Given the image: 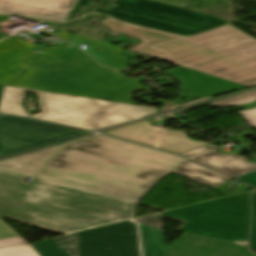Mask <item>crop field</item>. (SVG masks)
I'll list each match as a JSON object with an SVG mask.
<instances>
[{"label": "crop field", "instance_id": "a9b5d70f", "mask_svg": "<svg viewBox=\"0 0 256 256\" xmlns=\"http://www.w3.org/2000/svg\"><path fill=\"white\" fill-rule=\"evenodd\" d=\"M90 1L100 2L102 7L109 6V0H76L64 21L72 19V16L76 11L89 8L86 3Z\"/></svg>", "mask_w": 256, "mask_h": 256}, {"label": "crop field", "instance_id": "d8731c3e", "mask_svg": "<svg viewBox=\"0 0 256 256\" xmlns=\"http://www.w3.org/2000/svg\"><path fill=\"white\" fill-rule=\"evenodd\" d=\"M158 109L88 99L39 114L33 118L99 130L157 112Z\"/></svg>", "mask_w": 256, "mask_h": 256}, {"label": "crop field", "instance_id": "5a996713", "mask_svg": "<svg viewBox=\"0 0 256 256\" xmlns=\"http://www.w3.org/2000/svg\"><path fill=\"white\" fill-rule=\"evenodd\" d=\"M86 133L89 132L0 115V157Z\"/></svg>", "mask_w": 256, "mask_h": 256}, {"label": "crop field", "instance_id": "00972430", "mask_svg": "<svg viewBox=\"0 0 256 256\" xmlns=\"http://www.w3.org/2000/svg\"><path fill=\"white\" fill-rule=\"evenodd\" d=\"M256 99V91L248 94L232 97L218 102L210 103L213 106L242 105Z\"/></svg>", "mask_w": 256, "mask_h": 256}, {"label": "crop field", "instance_id": "d9b57169", "mask_svg": "<svg viewBox=\"0 0 256 256\" xmlns=\"http://www.w3.org/2000/svg\"><path fill=\"white\" fill-rule=\"evenodd\" d=\"M191 159L231 177L256 169V164L247 161L244 157L233 154L223 155L217 151L193 157Z\"/></svg>", "mask_w": 256, "mask_h": 256}, {"label": "crop field", "instance_id": "dd49c442", "mask_svg": "<svg viewBox=\"0 0 256 256\" xmlns=\"http://www.w3.org/2000/svg\"><path fill=\"white\" fill-rule=\"evenodd\" d=\"M249 195L243 193L162 213L187 221L177 231L237 242L246 241L249 227Z\"/></svg>", "mask_w": 256, "mask_h": 256}, {"label": "crop field", "instance_id": "eef30255", "mask_svg": "<svg viewBox=\"0 0 256 256\" xmlns=\"http://www.w3.org/2000/svg\"><path fill=\"white\" fill-rule=\"evenodd\" d=\"M70 236H73V233L72 234H68V235H65V236H62V237H58V238H54L53 240L61 247V246H64L63 251H67V250H73V252H69V253H66L68 256L72 255L74 256V247H70L71 245H74V242H73V238L70 239V240H67V241H64L62 243H58V241L62 240V239H65V238H68Z\"/></svg>", "mask_w": 256, "mask_h": 256}, {"label": "crop field", "instance_id": "d3111659", "mask_svg": "<svg viewBox=\"0 0 256 256\" xmlns=\"http://www.w3.org/2000/svg\"><path fill=\"white\" fill-rule=\"evenodd\" d=\"M210 150H213V149L210 146L206 145V146L197 148L195 150H192V151L180 154V155L190 157V156L197 155V154H200V153H203V152H206V151H210Z\"/></svg>", "mask_w": 256, "mask_h": 256}, {"label": "crop field", "instance_id": "28ad6ade", "mask_svg": "<svg viewBox=\"0 0 256 256\" xmlns=\"http://www.w3.org/2000/svg\"><path fill=\"white\" fill-rule=\"evenodd\" d=\"M167 256H254L236 244L183 233L166 247Z\"/></svg>", "mask_w": 256, "mask_h": 256}, {"label": "crop field", "instance_id": "214f88e0", "mask_svg": "<svg viewBox=\"0 0 256 256\" xmlns=\"http://www.w3.org/2000/svg\"><path fill=\"white\" fill-rule=\"evenodd\" d=\"M89 20L86 21H69L65 23H61L54 27L61 28L70 32H74L86 37H90L99 41H103L104 37L107 35L108 30L106 27L98 26L93 27L90 23L100 20L101 18L97 16H90Z\"/></svg>", "mask_w": 256, "mask_h": 256}, {"label": "crop field", "instance_id": "120bbe31", "mask_svg": "<svg viewBox=\"0 0 256 256\" xmlns=\"http://www.w3.org/2000/svg\"><path fill=\"white\" fill-rule=\"evenodd\" d=\"M180 1H184V2H186V0H180Z\"/></svg>", "mask_w": 256, "mask_h": 256}, {"label": "crop field", "instance_id": "1d83c4d3", "mask_svg": "<svg viewBox=\"0 0 256 256\" xmlns=\"http://www.w3.org/2000/svg\"><path fill=\"white\" fill-rule=\"evenodd\" d=\"M2 88H3V86L0 85V95H1Z\"/></svg>", "mask_w": 256, "mask_h": 256}, {"label": "crop field", "instance_id": "4a817a6b", "mask_svg": "<svg viewBox=\"0 0 256 256\" xmlns=\"http://www.w3.org/2000/svg\"><path fill=\"white\" fill-rule=\"evenodd\" d=\"M73 44H86L87 52L91 57L101 64L109 67L119 69L129 60H127L120 53L122 48L105 45L99 41L86 38L77 34L72 35L71 41Z\"/></svg>", "mask_w": 256, "mask_h": 256}, {"label": "crop field", "instance_id": "750c4746", "mask_svg": "<svg viewBox=\"0 0 256 256\" xmlns=\"http://www.w3.org/2000/svg\"><path fill=\"white\" fill-rule=\"evenodd\" d=\"M238 179L256 187V172L240 176Z\"/></svg>", "mask_w": 256, "mask_h": 256}, {"label": "crop field", "instance_id": "ae1a2a85", "mask_svg": "<svg viewBox=\"0 0 256 256\" xmlns=\"http://www.w3.org/2000/svg\"><path fill=\"white\" fill-rule=\"evenodd\" d=\"M253 127L256 128V108L239 112Z\"/></svg>", "mask_w": 256, "mask_h": 256}, {"label": "crop field", "instance_id": "bd1437ed", "mask_svg": "<svg viewBox=\"0 0 256 256\" xmlns=\"http://www.w3.org/2000/svg\"><path fill=\"white\" fill-rule=\"evenodd\" d=\"M9 16H0V21L7 19ZM7 36L4 32L0 30V39Z\"/></svg>", "mask_w": 256, "mask_h": 256}, {"label": "crop field", "instance_id": "dafd665d", "mask_svg": "<svg viewBox=\"0 0 256 256\" xmlns=\"http://www.w3.org/2000/svg\"><path fill=\"white\" fill-rule=\"evenodd\" d=\"M0 256H38L29 244L0 248Z\"/></svg>", "mask_w": 256, "mask_h": 256}, {"label": "crop field", "instance_id": "3316defc", "mask_svg": "<svg viewBox=\"0 0 256 256\" xmlns=\"http://www.w3.org/2000/svg\"><path fill=\"white\" fill-rule=\"evenodd\" d=\"M105 134L177 154L206 145L190 140L184 132L154 127L147 120L107 131Z\"/></svg>", "mask_w": 256, "mask_h": 256}, {"label": "crop field", "instance_id": "5142ce71", "mask_svg": "<svg viewBox=\"0 0 256 256\" xmlns=\"http://www.w3.org/2000/svg\"><path fill=\"white\" fill-rule=\"evenodd\" d=\"M100 24L106 25L111 29V36H117L118 33L123 32L128 33L132 37L142 39V44L136 45L130 49L131 51L138 53L184 38L151 29L127 25L110 18H107Z\"/></svg>", "mask_w": 256, "mask_h": 256}, {"label": "crop field", "instance_id": "92a150f3", "mask_svg": "<svg viewBox=\"0 0 256 256\" xmlns=\"http://www.w3.org/2000/svg\"><path fill=\"white\" fill-rule=\"evenodd\" d=\"M27 243L0 219V247Z\"/></svg>", "mask_w": 256, "mask_h": 256}, {"label": "crop field", "instance_id": "22f410ed", "mask_svg": "<svg viewBox=\"0 0 256 256\" xmlns=\"http://www.w3.org/2000/svg\"><path fill=\"white\" fill-rule=\"evenodd\" d=\"M25 91L36 93L41 112L88 99L71 95L54 94L4 86L0 99V113L28 117L29 113L22 107Z\"/></svg>", "mask_w": 256, "mask_h": 256}, {"label": "crop field", "instance_id": "4177f3b9", "mask_svg": "<svg viewBox=\"0 0 256 256\" xmlns=\"http://www.w3.org/2000/svg\"><path fill=\"white\" fill-rule=\"evenodd\" d=\"M253 202V221L251 228L250 247L256 250V193L252 196Z\"/></svg>", "mask_w": 256, "mask_h": 256}, {"label": "crop field", "instance_id": "e52e79f7", "mask_svg": "<svg viewBox=\"0 0 256 256\" xmlns=\"http://www.w3.org/2000/svg\"><path fill=\"white\" fill-rule=\"evenodd\" d=\"M92 12H100L127 23L182 36H191L228 23V20L216 16L149 0H113L111 10L102 11L94 4Z\"/></svg>", "mask_w": 256, "mask_h": 256}, {"label": "crop field", "instance_id": "f4fd0767", "mask_svg": "<svg viewBox=\"0 0 256 256\" xmlns=\"http://www.w3.org/2000/svg\"><path fill=\"white\" fill-rule=\"evenodd\" d=\"M74 241L75 256H166L162 231L131 221L74 233ZM30 245L39 256H67L52 239Z\"/></svg>", "mask_w": 256, "mask_h": 256}, {"label": "crop field", "instance_id": "d1516ede", "mask_svg": "<svg viewBox=\"0 0 256 256\" xmlns=\"http://www.w3.org/2000/svg\"><path fill=\"white\" fill-rule=\"evenodd\" d=\"M166 73L199 99L247 88L182 66Z\"/></svg>", "mask_w": 256, "mask_h": 256}, {"label": "crop field", "instance_id": "8a807250", "mask_svg": "<svg viewBox=\"0 0 256 256\" xmlns=\"http://www.w3.org/2000/svg\"><path fill=\"white\" fill-rule=\"evenodd\" d=\"M184 159L96 136L63 146L36 176L137 202Z\"/></svg>", "mask_w": 256, "mask_h": 256}, {"label": "crop field", "instance_id": "cbeb9de0", "mask_svg": "<svg viewBox=\"0 0 256 256\" xmlns=\"http://www.w3.org/2000/svg\"><path fill=\"white\" fill-rule=\"evenodd\" d=\"M73 0H0V13H16L52 19L64 17Z\"/></svg>", "mask_w": 256, "mask_h": 256}, {"label": "crop field", "instance_id": "733c2abd", "mask_svg": "<svg viewBox=\"0 0 256 256\" xmlns=\"http://www.w3.org/2000/svg\"><path fill=\"white\" fill-rule=\"evenodd\" d=\"M60 145L0 162V170L33 177Z\"/></svg>", "mask_w": 256, "mask_h": 256}, {"label": "crop field", "instance_id": "ac0d7876", "mask_svg": "<svg viewBox=\"0 0 256 256\" xmlns=\"http://www.w3.org/2000/svg\"><path fill=\"white\" fill-rule=\"evenodd\" d=\"M0 171V217L71 233L133 218L136 203L86 189Z\"/></svg>", "mask_w": 256, "mask_h": 256}, {"label": "crop field", "instance_id": "730fd06b", "mask_svg": "<svg viewBox=\"0 0 256 256\" xmlns=\"http://www.w3.org/2000/svg\"><path fill=\"white\" fill-rule=\"evenodd\" d=\"M155 215H158V216L153 217V218H151V216H154V215L141 217L143 219L138 220L137 222H140V223H143V224H146V225H149V226H152V227H155L157 229H161L162 230L161 213L155 214ZM136 219H139V218H136ZM132 221H136V220L132 219ZM157 221H159L160 226H157ZM146 222H149V223H146Z\"/></svg>", "mask_w": 256, "mask_h": 256}, {"label": "crop field", "instance_id": "412701ff", "mask_svg": "<svg viewBox=\"0 0 256 256\" xmlns=\"http://www.w3.org/2000/svg\"><path fill=\"white\" fill-rule=\"evenodd\" d=\"M141 54L248 87L256 85V40L230 25Z\"/></svg>", "mask_w": 256, "mask_h": 256}, {"label": "crop field", "instance_id": "34b2d1b8", "mask_svg": "<svg viewBox=\"0 0 256 256\" xmlns=\"http://www.w3.org/2000/svg\"><path fill=\"white\" fill-rule=\"evenodd\" d=\"M21 65L20 75L5 85L128 104L131 93L144 89L136 79L98 65L70 45L33 51Z\"/></svg>", "mask_w": 256, "mask_h": 256}, {"label": "crop field", "instance_id": "bc2a9ffb", "mask_svg": "<svg viewBox=\"0 0 256 256\" xmlns=\"http://www.w3.org/2000/svg\"><path fill=\"white\" fill-rule=\"evenodd\" d=\"M174 172L213 188L230 179L188 160H185Z\"/></svg>", "mask_w": 256, "mask_h": 256}]
</instances>
